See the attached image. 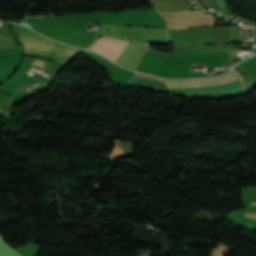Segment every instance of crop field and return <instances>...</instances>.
I'll use <instances>...</instances> for the list:
<instances>
[{"instance_id": "e52e79f7", "label": "crop field", "mask_w": 256, "mask_h": 256, "mask_svg": "<svg viewBox=\"0 0 256 256\" xmlns=\"http://www.w3.org/2000/svg\"><path fill=\"white\" fill-rule=\"evenodd\" d=\"M33 62H36V63H42V64H45V62L44 61H40V60H34ZM34 65H38V66H44V65H41V64H35V63H33Z\"/></svg>"}, {"instance_id": "ac0d7876", "label": "crop field", "mask_w": 256, "mask_h": 256, "mask_svg": "<svg viewBox=\"0 0 256 256\" xmlns=\"http://www.w3.org/2000/svg\"><path fill=\"white\" fill-rule=\"evenodd\" d=\"M101 35L119 40L159 43L170 42L168 29L131 28L123 26L101 25Z\"/></svg>"}, {"instance_id": "34b2d1b8", "label": "crop field", "mask_w": 256, "mask_h": 256, "mask_svg": "<svg viewBox=\"0 0 256 256\" xmlns=\"http://www.w3.org/2000/svg\"><path fill=\"white\" fill-rule=\"evenodd\" d=\"M168 89L178 90H193V89H206V88H218L227 87L233 85H239L240 82L234 73H229L225 76L206 79V80H188V81H164Z\"/></svg>"}, {"instance_id": "f4fd0767", "label": "crop field", "mask_w": 256, "mask_h": 256, "mask_svg": "<svg viewBox=\"0 0 256 256\" xmlns=\"http://www.w3.org/2000/svg\"><path fill=\"white\" fill-rule=\"evenodd\" d=\"M126 44L125 41L99 38L89 49L98 51L117 62Z\"/></svg>"}, {"instance_id": "d8731c3e", "label": "crop field", "mask_w": 256, "mask_h": 256, "mask_svg": "<svg viewBox=\"0 0 256 256\" xmlns=\"http://www.w3.org/2000/svg\"><path fill=\"white\" fill-rule=\"evenodd\" d=\"M245 216L256 219V215H253V214L246 213Z\"/></svg>"}, {"instance_id": "dd49c442", "label": "crop field", "mask_w": 256, "mask_h": 256, "mask_svg": "<svg viewBox=\"0 0 256 256\" xmlns=\"http://www.w3.org/2000/svg\"><path fill=\"white\" fill-rule=\"evenodd\" d=\"M0 256H20L15 250L5 244L0 234Z\"/></svg>"}, {"instance_id": "412701ff", "label": "crop field", "mask_w": 256, "mask_h": 256, "mask_svg": "<svg viewBox=\"0 0 256 256\" xmlns=\"http://www.w3.org/2000/svg\"><path fill=\"white\" fill-rule=\"evenodd\" d=\"M167 22L168 28H187L192 26H211L216 22L212 15L203 12H181L174 14H161Z\"/></svg>"}, {"instance_id": "8a807250", "label": "crop field", "mask_w": 256, "mask_h": 256, "mask_svg": "<svg viewBox=\"0 0 256 256\" xmlns=\"http://www.w3.org/2000/svg\"><path fill=\"white\" fill-rule=\"evenodd\" d=\"M16 32L27 54L51 58L66 63L81 50L69 46H62L44 37L16 25Z\"/></svg>"}, {"instance_id": "5a996713", "label": "crop field", "mask_w": 256, "mask_h": 256, "mask_svg": "<svg viewBox=\"0 0 256 256\" xmlns=\"http://www.w3.org/2000/svg\"><path fill=\"white\" fill-rule=\"evenodd\" d=\"M253 204H256V203H253Z\"/></svg>"}]
</instances>
